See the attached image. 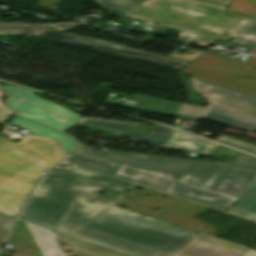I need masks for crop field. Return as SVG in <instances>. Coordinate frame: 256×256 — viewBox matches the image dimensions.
<instances>
[{
    "mask_svg": "<svg viewBox=\"0 0 256 256\" xmlns=\"http://www.w3.org/2000/svg\"><path fill=\"white\" fill-rule=\"evenodd\" d=\"M68 161L225 211L256 177V157L232 165L81 146Z\"/></svg>",
    "mask_w": 256,
    "mask_h": 256,
    "instance_id": "1",
    "label": "crop field"
},
{
    "mask_svg": "<svg viewBox=\"0 0 256 256\" xmlns=\"http://www.w3.org/2000/svg\"><path fill=\"white\" fill-rule=\"evenodd\" d=\"M131 185L77 166L67 172L53 170L41 180L19 218L68 235L115 201L99 195L102 191L125 192Z\"/></svg>",
    "mask_w": 256,
    "mask_h": 256,
    "instance_id": "2",
    "label": "crop field"
},
{
    "mask_svg": "<svg viewBox=\"0 0 256 256\" xmlns=\"http://www.w3.org/2000/svg\"><path fill=\"white\" fill-rule=\"evenodd\" d=\"M196 234L111 205L69 236L133 256H172Z\"/></svg>",
    "mask_w": 256,
    "mask_h": 256,
    "instance_id": "3",
    "label": "crop field"
},
{
    "mask_svg": "<svg viewBox=\"0 0 256 256\" xmlns=\"http://www.w3.org/2000/svg\"><path fill=\"white\" fill-rule=\"evenodd\" d=\"M4 96L0 90V99ZM13 115L0 100V123ZM65 158L56 141L27 136L0 140V212L16 217L37 180Z\"/></svg>",
    "mask_w": 256,
    "mask_h": 256,
    "instance_id": "4",
    "label": "crop field"
},
{
    "mask_svg": "<svg viewBox=\"0 0 256 256\" xmlns=\"http://www.w3.org/2000/svg\"><path fill=\"white\" fill-rule=\"evenodd\" d=\"M225 8L201 0H144L125 15L196 33L194 40L212 44L235 37L252 19Z\"/></svg>",
    "mask_w": 256,
    "mask_h": 256,
    "instance_id": "5",
    "label": "crop field"
},
{
    "mask_svg": "<svg viewBox=\"0 0 256 256\" xmlns=\"http://www.w3.org/2000/svg\"><path fill=\"white\" fill-rule=\"evenodd\" d=\"M194 88L205 96L211 105L204 119L247 132L256 131V98L194 77Z\"/></svg>",
    "mask_w": 256,
    "mask_h": 256,
    "instance_id": "6",
    "label": "crop field"
},
{
    "mask_svg": "<svg viewBox=\"0 0 256 256\" xmlns=\"http://www.w3.org/2000/svg\"><path fill=\"white\" fill-rule=\"evenodd\" d=\"M180 72L256 97V79L237 75L256 78L255 57L240 62L204 53Z\"/></svg>",
    "mask_w": 256,
    "mask_h": 256,
    "instance_id": "7",
    "label": "crop field"
},
{
    "mask_svg": "<svg viewBox=\"0 0 256 256\" xmlns=\"http://www.w3.org/2000/svg\"><path fill=\"white\" fill-rule=\"evenodd\" d=\"M11 95L9 105L20 115L63 132L69 130L80 118V115L59 105L48 102L34 94L33 91L4 86Z\"/></svg>",
    "mask_w": 256,
    "mask_h": 256,
    "instance_id": "8",
    "label": "crop field"
},
{
    "mask_svg": "<svg viewBox=\"0 0 256 256\" xmlns=\"http://www.w3.org/2000/svg\"><path fill=\"white\" fill-rule=\"evenodd\" d=\"M35 36L64 41V42H68V43H72V44H77V45L101 50L104 52L120 55L123 57L169 67V68L176 69V70L180 69L186 63H188L187 61L166 57L163 55H157V54H153V53H149V52H145V51H141V50L126 48V47H120V49L117 50V49H114V48H111V47H108L105 45L86 41L79 37L70 36L63 32L54 30V29H49V30L42 32L40 34H37Z\"/></svg>",
    "mask_w": 256,
    "mask_h": 256,
    "instance_id": "9",
    "label": "crop field"
},
{
    "mask_svg": "<svg viewBox=\"0 0 256 256\" xmlns=\"http://www.w3.org/2000/svg\"><path fill=\"white\" fill-rule=\"evenodd\" d=\"M245 249L246 247L200 233L174 256H240Z\"/></svg>",
    "mask_w": 256,
    "mask_h": 256,
    "instance_id": "10",
    "label": "crop field"
},
{
    "mask_svg": "<svg viewBox=\"0 0 256 256\" xmlns=\"http://www.w3.org/2000/svg\"><path fill=\"white\" fill-rule=\"evenodd\" d=\"M77 123L95 126V127L113 129V130H116L114 132V135H118L121 137L133 139V140L148 142L152 144H157L161 146H163L164 143L167 141V139L136 132L137 130L136 123L111 121V120H105L101 118L92 119V118H86V117L80 118Z\"/></svg>",
    "mask_w": 256,
    "mask_h": 256,
    "instance_id": "11",
    "label": "crop field"
},
{
    "mask_svg": "<svg viewBox=\"0 0 256 256\" xmlns=\"http://www.w3.org/2000/svg\"><path fill=\"white\" fill-rule=\"evenodd\" d=\"M216 143L175 130L164 147L206 154Z\"/></svg>",
    "mask_w": 256,
    "mask_h": 256,
    "instance_id": "12",
    "label": "crop field"
},
{
    "mask_svg": "<svg viewBox=\"0 0 256 256\" xmlns=\"http://www.w3.org/2000/svg\"><path fill=\"white\" fill-rule=\"evenodd\" d=\"M11 123L32 131L31 134L33 135L47 136L58 139L68 154L73 152L77 147V143L70 137L21 117L16 116Z\"/></svg>",
    "mask_w": 256,
    "mask_h": 256,
    "instance_id": "13",
    "label": "crop field"
},
{
    "mask_svg": "<svg viewBox=\"0 0 256 256\" xmlns=\"http://www.w3.org/2000/svg\"><path fill=\"white\" fill-rule=\"evenodd\" d=\"M44 256H60L48 232L40 227L27 224Z\"/></svg>",
    "mask_w": 256,
    "mask_h": 256,
    "instance_id": "14",
    "label": "crop field"
},
{
    "mask_svg": "<svg viewBox=\"0 0 256 256\" xmlns=\"http://www.w3.org/2000/svg\"><path fill=\"white\" fill-rule=\"evenodd\" d=\"M49 25L50 24H25L23 22L2 23L0 21V32L32 34L46 28Z\"/></svg>",
    "mask_w": 256,
    "mask_h": 256,
    "instance_id": "15",
    "label": "crop field"
},
{
    "mask_svg": "<svg viewBox=\"0 0 256 256\" xmlns=\"http://www.w3.org/2000/svg\"><path fill=\"white\" fill-rule=\"evenodd\" d=\"M100 6L121 16L138 5L143 0H95Z\"/></svg>",
    "mask_w": 256,
    "mask_h": 256,
    "instance_id": "16",
    "label": "crop field"
},
{
    "mask_svg": "<svg viewBox=\"0 0 256 256\" xmlns=\"http://www.w3.org/2000/svg\"><path fill=\"white\" fill-rule=\"evenodd\" d=\"M228 212L256 220V202L238 199Z\"/></svg>",
    "mask_w": 256,
    "mask_h": 256,
    "instance_id": "17",
    "label": "crop field"
},
{
    "mask_svg": "<svg viewBox=\"0 0 256 256\" xmlns=\"http://www.w3.org/2000/svg\"><path fill=\"white\" fill-rule=\"evenodd\" d=\"M226 10L254 18L256 16V0H233Z\"/></svg>",
    "mask_w": 256,
    "mask_h": 256,
    "instance_id": "18",
    "label": "crop field"
},
{
    "mask_svg": "<svg viewBox=\"0 0 256 256\" xmlns=\"http://www.w3.org/2000/svg\"><path fill=\"white\" fill-rule=\"evenodd\" d=\"M216 141H218L222 144H225V145H228V146H231V147H234V148H237V149H240V150H243V151H246L248 153L256 155V146L249 145V144H246V143H242L238 140L231 139V138H229L227 136H224V135L220 136L218 139H216Z\"/></svg>",
    "mask_w": 256,
    "mask_h": 256,
    "instance_id": "19",
    "label": "crop field"
},
{
    "mask_svg": "<svg viewBox=\"0 0 256 256\" xmlns=\"http://www.w3.org/2000/svg\"><path fill=\"white\" fill-rule=\"evenodd\" d=\"M235 42L255 46L250 53L256 54V29L246 28Z\"/></svg>",
    "mask_w": 256,
    "mask_h": 256,
    "instance_id": "20",
    "label": "crop field"
},
{
    "mask_svg": "<svg viewBox=\"0 0 256 256\" xmlns=\"http://www.w3.org/2000/svg\"><path fill=\"white\" fill-rule=\"evenodd\" d=\"M206 108L195 106V105H189V104H183L176 113L188 115V116H198L201 117V115L204 113Z\"/></svg>",
    "mask_w": 256,
    "mask_h": 256,
    "instance_id": "21",
    "label": "crop field"
},
{
    "mask_svg": "<svg viewBox=\"0 0 256 256\" xmlns=\"http://www.w3.org/2000/svg\"><path fill=\"white\" fill-rule=\"evenodd\" d=\"M239 154L240 152L219 145L209 154V156L221 159V155H224L236 159Z\"/></svg>",
    "mask_w": 256,
    "mask_h": 256,
    "instance_id": "22",
    "label": "crop field"
},
{
    "mask_svg": "<svg viewBox=\"0 0 256 256\" xmlns=\"http://www.w3.org/2000/svg\"><path fill=\"white\" fill-rule=\"evenodd\" d=\"M174 131V129L164 127L159 124H153V126L148 131V134L156 135L159 137L167 138L169 139L171 133Z\"/></svg>",
    "mask_w": 256,
    "mask_h": 256,
    "instance_id": "23",
    "label": "crop field"
},
{
    "mask_svg": "<svg viewBox=\"0 0 256 256\" xmlns=\"http://www.w3.org/2000/svg\"><path fill=\"white\" fill-rule=\"evenodd\" d=\"M240 198L256 201V179L251 183Z\"/></svg>",
    "mask_w": 256,
    "mask_h": 256,
    "instance_id": "24",
    "label": "crop field"
},
{
    "mask_svg": "<svg viewBox=\"0 0 256 256\" xmlns=\"http://www.w3.org/2000/svg\"><path fill=\"white\" fill-rule=\"evenodd\" d=\"M14 219V217L0 213V229L8 231Z\"/></svg>",
    "mask_w": 256,
    "mask_h": 256,
    "instance_id": "25",
    "label": "crop field"
},
{
    "mask_svg": "<svg viewBox=\"0 0 256 256\" xmlns=\"http://www.w3.org/2000/svg\"><path fill=\"white\" fill-rule=\"evenodd\" d=\"M203 52H197L196 55L194 56H185V55H180V54H170L169 56L171 57H176V58H180V59H184V60H188V61H192L195 58H197L199 55H201Z\"/></svg>",
    "mask_w": 256,
    "mask_h": 256,
    "instance_id": "26",
    "label": "crop field"
},
{
    "mask_svg": "<svg viewBox=\"0 0 256 256\" xmlns=\"http://www.w3.org/2000/svg\"><path fill=\"white\" fill-rule=\"evenodd\" d=\"M205 1H209V2H213V3L228 6L231 3L232 0H205Z\"/></svg>",
    "mask_w": 256,
    "mask_h": 256,
    "instance_id": "27",
    "label": "crop field"
},
{
    "mask_svg": "<svg viewBox=\"0 0 256 256\" xmlns=\"http://www.w3.org/2000/svg\"><path fill=\"white\" fill-rule=\"evenodd\" d=\"M67 34H69V33H67ZM70 35H73V34H70ZM75 36H77V35H75ZM79 37H81V36H79ZM81 38H84V39L90 40V41H94V42H98V43H101V44H105V45H108V46H111V47H114V48H117V49H119V47H120V46H117V45H113V44H109V43H105V42H101V41H97V40H93V39H89V38H85V37H81Z\"/></svg>",
    "mask_w": 256,
    "mask_h": 256,
    "instance_id": "28",
    "label": "crop field"
},
{
    "mask_svg": "<svg viewBox=\"0 0 256 256\" xmlns=\"http://www.w3.org/2000/svg\"><path fill=\"white\" fill-rule=\"evenodd\" d=\"M241 256H256V250L247 248Z\"/></svg>",
    "mask_w": 256,
    "mask_h": 256,
    "instance_id": "29",
    "label": "crop field"
},
{
    "mask_svg": "<svg viewBox=\"0 0 256 256\" xmlns=\"http://www.w3.org/2000/svg\"><path fill=\"white\" fill-rule=\"evenodd\" d=\"M248 27H254V28H256V20H255L253 23H251Z\"/></svg>",
    "mask_w": 256,
    "mask_h": 256,
    "instance_id": "30",
    "label": "crop field"
}]
</instances>
